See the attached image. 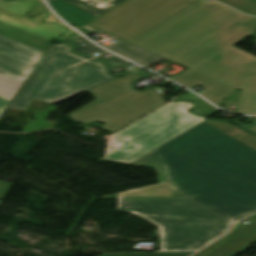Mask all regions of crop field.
I'll return each mask as SVG.
<instances>
[{
	"instance_id": "8a807250",
	"label": "crop field",
	"mask_w": 256,
	"mask_h": 256,
	"mask_svg": "<svg viewBox=\"0 0 256 256\" xmlns=\"http://www.w3.org/2000/svg\"><path fill=\"white\" fill-rule=\"evenodd\" d=\"M256 16V0H218ZM213 0H125L88 25L188 69L170 77L219 105L241 90L236 112L256 114V57L234 44L256 17Z\"/></svg>"
},
{
	"instance_id": "ac0d7876",
	"label": "crop field",
	"mask_w": 256,
	"mask_h": 256,
	"mask_svg": "<svg viewBox=\"0 0 256 256\" xmlns=\"http://www.w3.org/2000/svg\"><path fill=\"white\" fill-rule=\"evenodd\" d=\"M132 163L233 222L256 211V151L204 121Z\"/></svg>"
},
{
	"instance_id": "34b2d1b8",
	"label": "crop field",
	"mask_w": 256,
	"mask_h": 256,
	"mask_svg": "<svg viewBox=\"0 0 256 256\" xmlns=\"http://www.w3.org/2000/svg\"><path fill=\"white\" fill-rule=\"evenodd\" d=\"M168 189L169 196L118 197L117 206L160 226L163 251L197 250L235 224L172 185Z\"/></svg>"
},
{
	"instance_id": "412701ff",
	"label": "crop field",
	"mask_w": 256,
	"mask_h": 256,
	"mask_svg": "<svg viewBox=\"0 0 256 256\" xmlns=\"http://www.w3.org/2000/svg\"><path fill=\"white\" fill-rule=\"evenodd\" d=\"M70 40L51 44L8 108L26 110L32 99L55 103L119 77L104 62L70 52Z\"/></svg>"
},
{
	"instance_id": "f4fd0767",
	"label": "crop field",
	"mask_w": 256,
	"mask_h": 256,
	"mask_svg": "<svg viewBox=\"0 0 256 256\" xmlns=\"http://www.w3.org/2000/svg\"><path fill=\"white\" fill-rule=\"evenodd\" d=\"M195 103L178 100L108 137L104 159L130 163L206 119L188 112Z\"/></svg>"
},
{
	"instance_id": "dd49c442",
	"label": "crop field",
	"mask_w": 256,
	"mask_h": 256,
	"mask_svg": "<svg viewBox=\"0 0 256 256\" xmlns=\"http://www.w3.org/2000/svg\"><path fill=\"white\" fill-rule=\"evenodd\" d=\"M145 75L131 73L107 84L89 90L95 100L69 114L76 123L98 121L119 130L163 105L162 96L148 88L136 91L134 80Z\"/></svg>"
},
{
	"instance_id": "e52e79f7",
	"label": "crop field",
	"mask_w": 256,
	"mask_h": 256,
	"mask_svg": "<svg viewBox=\"0 0 256 256\" xmlns=\"http://www.w3.org/2000/svg\"><path fill=\"white\" fill-rule=\"evenodd\" d=\"M36 2L0 0V34L45 52L54 36L66 29L53 24H45L41 19L48 14L26 18L23 13Z\"/></svg>"
},
{
	"instance_id": "d8731c3e",
	"label": "crop field",
	"mask_w": 256,
	"mask_h": 256,
	"mask_svg": "<svg viewBox=\"0 0 256 256\" xmlns=\"http://www.w3.org/2000/svg\"><path fill=\"white\" fill-rule=\"evenodd\" d=\"M42 52L0 35V116Z\"/></svg>"
},
{
	"instance_id": "5a996713",
	"label": "crop field",
	"mask_w": 256,
	"mask_h": 256,
	"mask_svg": "<svg viewBox=\"0 0 256 256\" xmlns=\"http://www.w3.org/2000/svg\"><path fill=\"white\" fill-rule=\"evenodd\" d=\"M249 219V224H239L220 248L206 256H234L248 249L252 241H256V214Z\"/></svg>"
},
{
	"instance_id": "3316defc",
	"label": "crop field",
	"mask_w": 256,
	"mask_h": 256,
	"mask_svg": "<svg viewBox=\"0 0 256 256\" xmlns=\"http://www.w3.org/2000/svg\"><path fill=\"white\" fill-rule=\"evenodd\" d=\"M127 58L137 61L138 63L148 67L154 63H157L165 58L153 55L140 48L130 45L124 41L113 43L105 46ZM166 60V59H165ZM164 61V60H163Z\"/></svg>"
},
{
	"instance_id": "28ad6ade",
	"label": "crop field",
	"mask_w": 256,
	"mask_h": 256,
	"mask_svg": "<svg viewBox=\"0 0 256 256\" xmlns=\"http://www.w3.org/2000/svg\"><path fill=\"white\" fill-rule=\"evenodd\" d=\"M143 195H168L167 183L118 194V196H143Z\"/></svg>"
},
{
	"instance_id": "d1516ede",
	"label": "crop field",
	"mask_w": 256,
	"mask_h": 256,
	"mask_svg": "<svg viewBox=\"0 0 256 256\" xmlns=\"http://www.w3.org/2000/svg\"><path fill=\"white\" fill-rule=\"evenodd\" d=\"M64 1L95 17H98L99 15L108 11L89 0H79L77 2L73 0H64Z\"/></svg>"
},
{
	"instance_id": "22f410ed",
	"label": "crop field",
	"mask_w": 256,
	"mask_h": 256,
	"mask_svg": "<svg viewBox=\"0 0 256 256\" xmlns=\"http://www.w3.org/2000/svg\"><path fill=\"white\" fill-rule=\"evenodd\" d=\"M74 40L76 41L77 45L75 47V51L90 55V56H94L92 54L100 52L102 54L107 53L97 47H95L93 44L90 45L89 41H87L85 38L83 37H79V38H74ZM82 43H84L86 46L81 45Z\"/></svg>"
},
{
	"instance_id": "cbeb9de0",
	"label": "crop field",
	"mask_w": 256,
	"mask_h": 256,
	"mask_svg": "<svg viewBox=\"0 0 256 256\" xmlns=\"http://www.w3.org/2000/svg\"><path fill=\"white\" fill-rule=\"evenodd\" d=\"M180 98H191L197 100L200 104L195 108V112H208L210 115L215 114L216 112L220 111L208 104H206L204 101H202L199 97H197L195 94L192 92L188 91L185 93L183 96Z\"/></svg>"
},
{
	"instance_id": "5142ce71",
	"label": "crop field",
	"mask_w": 256,
	"mask_h": 256,
	"mask_svg": "<svg viewBox=\"0 0 256 256\" xmlns=\"http://www.w3.org/2000/svg\"><path fill=\"white\" fill-rule=\"evenodd\" d=\"M193 252L103 254L102 256H188Z\"/></svg>"
},
{
	"instance_id": "d9b57169",
	"label": "crop field",
	"mask_w": 256,
	"mask_h": 256,
	"mask_svg": "<svg viewBox=\"0 0 256 256\" xmlns=\"http://www.w3.org/2000/svg\"><path fill=\"white\" fill-rule=\"evenodd\" d=\"M38 1L41 2V6L32 9V10L29 12V15L34 14V13H38V12H42V11L50 12V11L46 8V6L43 4V2H42L41 0H38ZM50 13L52 14V16L49 17V18H47L46 21H48V22H58V23H60V24H63L61 21H59V20L56 18V16H55L52 12H50ZM63 25H65V24H63ZM65 26H67V25H65ZM67 27H68V26H67ZM68 28H69V27H68ZM72 32H74V31H72L71 28H69L68 33L65 34V35H63V36L60 37V38H64L65 36H67L68 34H70V33H72Z\"/></svg>"
},
{
	"instance_id": "733c2abd",
	"label": "crop field",
	"mask_w": 256,
	"mask_h": 256,
	"mask_svg": "<svg viewBox=\"0 0 256 256\" xmlns=\"http://www.w3.org/2000/svg\"><path fill=\"white\" fill-rule=\"evenodd\" d=\"M91 1H93V2L97 3L98 5L109 10L114 5L118 4L119 2H121L123 0H91Z\"/></svg>"
},
{
	"instance_id": "4a817a6b",
	"label": "crop field",
	"mask_w": 256,
	"mask_h": 256,
	"mask_svg": "<svg viewBox=\"0 0 256 256\" xmlns=\"http://www.w3.org/2000/svg\"><path fill=\"white\" fill-rule=\"evenodd\" d=\"M13 184L0 181V199H5Z\"/></svg>"
},
{
	"instance_id": "bc2a9ffb",
	"label": "crop field",
	"mask_w": 256,
	"mask_h": 256,
	"mask_svg": "<svg viewBox=\"0 0 256 256\" xmlns=\"http://www.w3.org/2000/svg\"><path fill=\"white\" fill-rule=\"evenodd\" d=\"M106 61L113 65L114 67H120V66H123V65H126V64H129L128 62L114 56V57H111L109 59H106Z\"/></svg>"
},
{
	"instance_id": "214f88e0",
	"label": "crop field",
	"mask_w": 256,
	"mask_h": 256,
	"mask_svg": "<svg viewBox=\"0 0 256 256\" xmlns=\"http://www.w3.org/2000/svg\"><path fill=\"white\" fill-rule=\"evenodd\" d=\"M226 236H227V235H226ZM226 236H224V237H222L221 239L217 240L216 242H214V243L211 244L210 246L206 247L205 249H203L202 251H200L199 253H197V254L194 255V256H200V255H202V254H204V253H206V252L212 250V249L215 248L217 245H219V244L222 242V240H223Z\"/></svg>"
},
{
	"instance_id": "92a150f3",
	"label": "crop field",
	"mask_w": 256,
	"mask_h": 256,
	"mask_svg": "<svg viewBox=\"0 0 256 256\" xmlns=\"http://www.w3.org/2000/svg\"><path fill=\"white\" fill-rule=\"evenodd\" d=\"M68 36H70V37H76V36H79L77 33H72V34H70V35H68Z\"/></svg>"
},
{
	"instance_id": "dafd665d",
	"label": "crop field",
	"mask_w": 256,
	"mask_h": 256,
	"mask_svg": "<svg viewBox=\"0 0 256 256\" xmlns=\"http://www.w3.org/2000/svg\"><path fill=\"white\" fill-rule=\"evenodd\" d=\"M256 118V117H255ZM248 130H250V131H252V132H255L256 133V126L255 127H253V128H250V129H248Z\"/></svg>"
},
{
	"instance_id": "00972430",
	"label": "crop field",
	"mask_w": 256,
	"mask_h": 256,
	"mask_svg": "<svg viewBox=\"0 0 256 256\" xmlns=\"http://www.w3.org/2000/svg\"><path fill=\"white\" fill-rule=\"evenodd\" d=\"M75 1H77V0H75Z\"/></svg>"
}]
</instances>
